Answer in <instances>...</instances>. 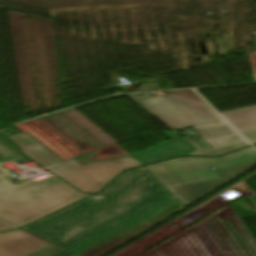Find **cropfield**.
<instances>
[{"label": "crop field", "instance_id": "obj_1", "mask_svg": "<svg viewBox=\"0 0 256 256\" xmlns=\"http://www.w3.org/2000/svg\"><path fill=\"white\" fill-rule=\"evenodd\" d=\"M101 195L96 200L93 197ZM95 196L24 229L57 247L35 256H77L156 215L176 197L144 166Z\"/></svg>", "mask_w": 256, "mask_h": 256}, {"label": "crop field", "instance_id": "obj_2", "mask_svg": "<svg viewBox=\"0 0 256 256\" xmlns=\"http://www.w3.org/2000/svg\"><path fill=\"white\" fill-rule=\"evenodd\" d=\"M85 197L52 176L18 186L0 177V218L22 227Z\"/></svg>", "mask_w": 256, "mask_h": 256}, {"label": "crop field", "instance_id": "obj_3", "mask_svg": "<svg viewBox=\"0 0 256 256\" xmlns=\"http://www.w3.org/2000/svg\"><path fill=\"white\" fill-rule=\"evenodd\" d=\"M23 154L82 192L95 193L127 168L142 165L131 155L83 166L62 160L28 133L9 137ZM17 145V146H18Z\"/></svg>", "mask_w": 256, "mask_h": 256}, {"label": "crop field", "instance_id": "obj_4", "mask_svg": "<svg viewBox=\"0 0 256 256\" xmlns=\"http://www.w3.org/2000/svg\"><path fill=\"white\" fill-rule=\"evenodd\" d=\"M137 103L151 112L172 130L193 126L202 127L226 123L206 103L173 94L145 96L130 95Z\"/></svg>", "mask_w": 256, "mask_h": 256}, {"label": "crop field", "instance_id": "obj_5", "mask_svg": "<svg viewBox=\"0 0 256 256\" xmlns=\"http://www.w3.org/2000/svg\"><path fill=\"white\" fill-rule=\"evenodd\" d=\"M256 166V159L235 164L155 175L186 206Z\"/></svg>", "mask_w": 256, "mask_h": 256}, {"label": "crop field", "instance_id": "obj_6", "mask_svg": "<svg viewBox=\"0 0 256 256\" xmlns=\"http://www.w3.org/2000/svg\"><path fill=\"white\" fill-rule=\"evenodd\" d=\"M256 158L253 147L238 150L218 158L184 157L150 166H146L153 174L205 168Z\"/></svg>", "mask_w": 256, "mask_h": 256}, {"label": "crop field", "instance_id": "obj_7", "mask_svg": "<svg viewBox=\"0 0 256 256\" xmlns=\"http://www.w3.org/2000/svg\"><path fill=\"white\" fill-rule=\"evenodd\" d=\"M53 245L21 230L0 233V256H29Z\"/></svg>", "mask_w": 256, "mask_h": 256}, {"label": "crop field", "instance_id": "obj_8", "mask_svg": "<svg viewBox=\"0 0 256 256\" xmlns=\"http://www.w3.org/2000/svg\"><path fill=\"white\" fill-rule=\"evenodd\" d=\"M182 207L184 206L176 199L167 207H165L162 211H160L156 216H154L151 220L137 227H134L128 231H125L85 252H82L78 254V256H101L102 254L108 252L109 250L113 249L119 244L125 242L131 237L149 228L150 226L154 225L155 223L159 222L160 220L164 219L165 217L169 216L170 214L174 213L175 211L179 210Z\"/></svg>", "mask_w": 256, "mask_h": 256}, {"label": "crop field", "instance_id": "obj_9", "mask_svg": "<svg viewBox=\"0 0 256 256\" xmlns=\"http://www.w3.org/2000/svg\"><path fill=\"white\" fill-rule=\"evenodd\" d=\"M164 135L170 138L172 142L132 154V156H134L141 163L147 164L172 156L187 155L195 150L183 138L173 131L165 132Z\"/></svg>", "mask_w": 256, "mask_h": 256}, {"label": "crop field", "instance_id": "obj_10", "mask_svg": "<svg viewBox=\"0 0 256 256\" xmlns=\"http://www.w3.org/2000/svg\"><path fill=\"white\" fill-rule=\"evenodd\" d=\"M239 132L256 128V105L221 113Z\"/></svg>", "mask_w": 256, "mask_h": 256}, {"label": "crop field", "instance_id": "obj_11", "mask_svg": "<svg viewBox=\"0 0 256 256\" xmlns=\"http://www.w3.org/2000/svg\"><path fill=\"white\" fill-rule=\"evenodd\" d=\"M5 160L26 161L28 159L19 153L14 144L0 134V163Z\"/></svg>", "mask_w": 256, "mask_h": 256}, {"label": "crop field", "instance_id": "obj_12", "mask_svg": "<svg viewBox=\"0 0 256 256\" xmlns=\"http://www.w3.org/2000/svg\"><path fill=\"white\" fill-rule=\"evenodd\" d=\"M196 131L205 139H212L221 136L235 134L236 132L228 125H219L208 128L196 129Z\"/></svg>", "mask_w": 256, "mask_h": 256}, {"label": "crop field", "instance_id": "obj_13", "mask_svg": "<svg viewBox=\"0 0 256 256\" xmlns=\"http://www.w3.org/2000/svg\"><path fill=\"white\" fill-rule=\"evenodd\" d=\"M186 141L196 149L189 155H206L202 151L213 148L201 136L187 139Z\"/></svg>", "mask_w": 256, "mask_h": 256}, {"label": "crop field", "instance_id": "obj_14", "mask_svg": "<svg viewBox=\"0 0 256 256\" xmlns=\"http://www.w3.org/2000/svg\"><path fill=\"white\" fill-rule=\"evenodd\" d=\"M243 140L244 139L242 137H240L238 134H235L231 136L208 140L207 142L215 148V147H219V146H223V145H227V144H231V143H235Z\"/></svg>", "mask_w": 256, "mask_h": 256}, {"label": "crop field", "instance_id": "obj_15", "mask_svg": "<svg viewBox=\"0 0 256 256\" xmlns=\"http://www.w3.org/2000/svg\"><path fill=\"white\" fill-rule=\"evenodd\" d=\"M246 145H248V142L244 141V142H240V143H236V144H232V145H228V146H224V147H220V148H216V149L207 150L204 152L208 156H215V155L223 154V153L244 147Z\"/></svg>", "mask_w": 256, "mask_h": 256}, {"label": "crop field", "instance_id": "obj_16", "mask_svg": "<svg viewBox=\"0 0 256 256\" xmlns=\"http://www.w3.org/2000/svg\"><path fill=\"white\" fill-rule=\"evenodd\" d=\"M169 93L178 94V95H182V96H186V97H190V98H194V99L203 101L192 90H188V91H174V92H169Z\"/></svg>", "mask_w": 256, "mask_h": 256}, {"label": "crop field", "instance_id": "obj_17", "mask_svg": "<svg viewBox=\"0 0 256 256\" xmlns=\"http://www.w3.org/2000/svg\"><path fill=\"white\" fill-rule=\"evenodd\" d=\"M12 228H17L16 226L0 219V231H4V230H8V229H12Z\"/></svg>", "mask_w": 256, "mask_h": 256}, {"label": "crop field", "instance_id": "obj_18", "mask_svg": "<svg viewBox=\"0 0 256 256\" xmlns=\"http://www.w3.org/2000/svg\"><path fill=\"white\" fill-rule=\"evenodd\" d=\"M241 135H243L248 140L256 139V130L255 131L246 132V133H242Z\"/></svg>", "mask_w": 256, "mask_h": 256}, {"label": "crop field", "instance_id": "obj_19", "mask_svg": "<svg viewBox=\"0 0 256 256\" xmlns=\"http://www.w3.org/2000/svg\"><path fill=\"white\" fill-rule=\"evenodd\" d=\"M250 142L254 143V142H256V140H252V141H250Z\"/></svg>", "mask_w": 256, "mask_h": 256}, {"label": "crop field", "instance_id": "obj_20", "mask_svg": "<svg viewBox=\"0 0 256 256\" xmlns=\"http://www.w3.org/2000/svg\"><path fill=\"white\" fill-rule=\"evenodd\" d=\"M255 147H256V145H255Z\"/></svg>", "mask_w": 256, "mask_h": 256}]
</instances>
